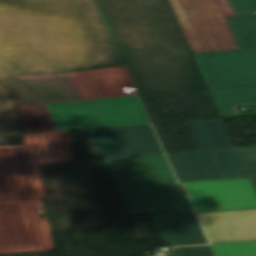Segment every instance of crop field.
<instances>
[{
    "instance_id": "crop-field-5",
    "label": "crop field",
    "mask_w": 256,
    "mask_h": 256,
    "mask_svg": "<svg viewBox=\"0 0 256 256\" xmlns=\"http://www.w3.org/2000/svg\"><path fill=\"white\" fill-rule=\"evenodd\" d=\"M200 152L168 154L181 182L223 178L211 149L234 148L222 120L188 122Z\"/></svg>"
},
{
    "instance_id": "crop-field-1",
    "label": "crop field",
    "mask_w": 256,
    "mask_h": 256,
    "mask_svg": "<svg viewBox=\"0 0 256 256\" xmlns=\"http://www.w3.org/2000/svg\"><path fill=\"white\" fill-rule=\"evenodd\" d=\"M104 160L130 215L192 210L164 154Z\"/></svg>"
},
{
    "instance_id": "crop-field-7",
    "label": "crop field",
    "mask_w": 256,
    "mask_h": 256,
    "mask_svg": "<svg viewBox=\"0 0 256 256\" xmlns=\"http://www.w3.org/2000/svg\"><path fill=\"white\" fill-rule=\"evenodd\" d=\"M193 55L208 86L256 82V50Z\"/></svg>"
},
{
    "instance_id": "crop-field-6",
    "label": "crop field",
    "mask_w": 256,
    "mask_h": 256,
    "mask_svg": "<svg viewBox=\"0 0 256 256\" xmlns=\"http://www.w3.org/2000/svg\"><path fill=\"white\" fill-rule=\"evenodd\" d=\"M197 215L216 256H256V210Z\"/></svg>"
},
{
    "instance_id": "crop-field-8",
    "label": "crop field",
    "mask_w": 256,
    "mask_h": 256,
    "mask_svg": "<svg viewBox=\"0 0 256 256\" xmlns=\"http://www.w3.org/2000/svg\"><path fill=\"white\" fill-rule=\"evenodd\" d=\"M152 215L169 246L208 244L193 211Z\"/></svg>"
},
{
    "instance_id": "crop-field-10",
    "label": "crop field",
    "mask_w": 256,
    "mask_h": 256,
    "mask_svg": "<svg viewBox=\"0 0 256 256\" xmlns=\"http://www.w3.org/2000/svg\"><path fill=\"white\" fill-rule=\"evenodd\" d=\"M236 17L225 18L239 50L256 49L255 0H229Z\"/></svg>"
},
{
    "instance_id": "crop-field-11",
    "label": "crop field",
    "mask_w": 256,
    "mask_h": 256,
    "mask_svg": "<svg viewBox=\"0 0 256 256\" xmlns=\"http://www.w3.org/2000/svg\"><path fill=\"white\" fill-rule=\"evenodd\" d=\"M208 88L222 118L238 117L233 106L256 104V83Z\"/></svg>"
},
{
    "instance_id": "crop-field-9",
    "label": "crop field",
    "mask_w": 256,
    "mask_h": 256,
    "mask_svg": "<svg viewBox=\"0 0 256 256\" xmlns=\"http://www.w3.org/2000/svg\"><path fill=\"white\" fill-rule=\"evenodd\" d=\"M110 129L123 157L163 153L150 125Z\"/></svg>"
},
{
    "instance_id": "crop-field-4",
    "label": "crop field",
    "mask_w": 256,
    "mask_h": 256,
    "mask_svg": "<svg viewBox=\"0 0 256 256\" xmlns=\"http://www.w3.org/2000/svg\"><path fill=\"white\" fill-rule=\"evenodd\" d=\"M170 2L194 53L238 50L224 19L235 16L228 0Z\"/></svg>"
},
{
    "instance_id": "crop-field-12",
    "label": "crop field",
    "mask_w": 256,
    "mask_h": 256,
    "mask_svg": "<svg viewBox=\"0 0 256 256\" xmlns=\"http://www.w3.org/2000/svg\"><path fill=\"white\" fill-rule=\"evenodd\" d=\"M82 131L96 159L122 157L109 128Z\"/></svg>"
},
{
    "instance_id": "crop-field-14",
    "label": "crop field",
    "mask_w": 256,
    "mask_h": 256,
    "mask_svg": "<svg viewBox=\"0 0 256 256\" xmlns=\"http://www.w3.org/2000/svg\"><path fill=\"white\" fill-rule=\"evenodd\" d=\"M252 180H253V183H254V185L256 187V178H252Z\"/></svg>"
},
{
    "instance_id": "crop-field-3",
    "label": "crop field",
    "mask_w": 256,
    "mask_h": 256,
    "mask_svg": "<svg viewBox=\"0 0 256 256\" xmlns=\"http://www.w3.org/2000/svg\"><path fill=\"white\" fill-rule=\"evenodd\" d=\"M46 106L59 131L152 124L139 96Z\"/></svg>"
},
{
    "instance_id": "crop-field-13",
    "label": "crop field",
    "mask_w": 256,
    "mask_h": 256,
    "mask_svg": "<svg viewBox=\"0 0 256 256\" xmlns=\"http://www.w3.org/2000/svg\"><path fill=\"white\" fill-rule=\"evenodd\" d=\"M171 252L173 256H213L208 246L176 248Z\"/></svg>"
},
{
    "instance_id": "crop-field-2",
    "label": "crop field",
    "mask_w": 256,
    "mask_h": 256,
    "mask_svg": "<svg viewBox=\"0 0 256 256\" xmlns=\"http://www.w3.org/2000/svg\"><path fill=\"white\" fill-rule=\"evenodd\" d=\"M224 179L184 183L197 212L256 208L253 147L212 150Z\"/></svg>"
}]
</instances>
